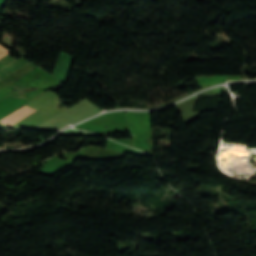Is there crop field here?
<instances>
[{"label": "crop field", "instance_id": "1", "mask_svg": "<svg viewBox=\"0 0 256 256\" xmlns=\"http://www.w3.org/2000/svg\"><path fill=\"white\" fill-rule=\"evenodd\" d=\"M34 111L35 110L23 106L20 109L8 115L7 117L0 120V122L11 127L20 120L24 119L25 117L33 113Z\"/></svg>", "mask_w": 256, "mask_h": 256}, {"label": "crop field", "instance_id": "2", "mask_svg": "<svg viewBox=\"0 0 256 256\" xmlns=\"http://www.w3.org/2000/svg\"><path fill=\"white\" fill-rule=\"evenodd\" d=\"M11 51L7 50L6 48L2 47L0 45V58L4 57L5 55H7L8 53H10Z\"/></svg>", "mask_w": 256, "mask_h": 256}]
</instances>
